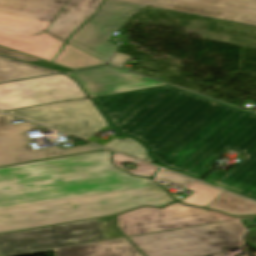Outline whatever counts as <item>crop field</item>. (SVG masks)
<instances>
[{
    "mask_svg": "<svg viewBox=\"0 0 256 256\" xmlns=\"http://www.w3.org/2000/svg\"><path fill=\"white\" fill-rule=\"evenodd\" d=\"M120 134L161 166L200 180L229 149L242 160L204 182L256 200V115L169 85L93 97Z\"/></svg>",
    "mask_w": 256,
    "mask_h": 256,
    "instance_id": "8a807250",
    "label": "crop field"
},
{
    "mask_svg": "<svg viewBox=\"0 0 256 256\" xmlns=\"http://www.w3.org/2000/svg\"><path fill=\"white\" fill-rule=\"evenodd\" d=\"M172 201L151 179L114 167L109 151L0 168V233Z\"/></svg>",
    "mask_w": 256,
    "mask_h": 256,
    "instance_id": "ac0d7876",
    "label": "crop field"
},
{
    "mask_svg": "<svg viewBox=\"0 0 256 256\" xmlns=\"http://www.w3.org/2000/svg\"><path fill=\"white\" fill-rule=\"evenodd\" d=\"M66 1L0 0V46L52 61L64 42L43 31Z\"/></svg>",
    "mask_w": 256,
    "mask_h": 256,
    "instance_id": "34b2d1b8",
    "label": "crop field"
},
{
    "mask_svg": "<svg viewBox=\"0 0 256 256\" xmlns=\"http://www.w3.org/2000/svg\"><path fill=\"white\" fill-rule=\"evenodd\" d=\"M236 221L129 238L146 256H225L239 246Z\"/></svg>",
    "mask_w": 256,
    "mask_h": 256,
    "instance_id": "412701ff",
    "label": "crop field"
},
{
    "mask_svg": "<svg viewBox=\"0 0 256 256\" xmlns=\"http://www.w3.org/2000/svg\"><path fill=\"white\" fill-rule=\"evenodd\" d=\"M115 217L0 234L2 256L122 237Z\"/></svg>",
    "mask_w": 256,
    "mask_h": 256,
    "instance_id": "f4fd0767",
    "label": "crop field"
},
{
    "mask_svg": "<svg viewBox=\"0 0 256 256\" xmlns=\"http://www.w3.org/2000/svg\"><path fill=\"white\" fill-rule=\"evenodd\" d=\"M8 113L70 133L85 140L108 125L90 99L8 111Z\"/></svg>",
    "mask_w": 256,
    "mask_h": 256,
    "instance_id": "dd49c442",
    "label": "crop field"
},
{
    "mask_svg": "<svg viewBox=\"0 0 256 256\" xmlns=\"http://www.w3.org/2000/svg\"><path fill=\"white\" fill-rule=\"evenodd\" d=\"M144 5L106 0L94 18L83 25L68 43L108 62L117 46L108 43L114 31Z\"/></svg>",
    "mask_w": 256,
    "mask_h": 256,
    "instance_id": "e52e79f7",
    "label": "crop field"
},
{
    "mask_svg": "<svg viewBox=\"0 0 256 256\" xmlns=\"http://www.w3.org/2000/svg\"><path fill=\"white\" fill-rule=\"evenodd\" d=\"M84 96L86 95L75 81L63 74L53 75L0 84V110H12Z\"/></svg>",
    "mask_w": 256,
    "mask_h": 256,
    "instance_id": "d8731c3e",
    "label": "crop field"
},
{
    "mask_svg": "<svg viewBox=\"0 0 256 256\" xmlns=\"http://www.w3.org/2000/svg\"><path fill=\"white\" fill-rule=\"evenodd\" d=\"M117 218L118 227L126 236L219 221L204 209L179 203L164 209L143 207Z\"/></svg>",
    "mask_w": 256,
    "mask_h": 256,
    "instance_id": "5a996713",
    "label": "crop field"
},
{
    "mask_svg": "<svg viewBox=\"0 0 256 256\" xmlns=\"http://www.w3.org/2000/svg\"><path fill=\"white\" fill-rule=\"evenodd\" d=\"M13 119L0 113V166L102 149L88 144L64 149L55 146L33 150L26 131L43 127L28 122L10 124Z\"/></svg>",
    "mask_w": 256,
    "mask_h": 256,
    "instance_id": "3316defc",
    "label": "crop field"
},
{
    "mask_svg": "<svg viewBox=\"0 0 256 256\" xmlns=\"http://www.w3.org/2000/svg\"><path fill=\"white\" fill-rule=\"evenodd\" d=\"M256 25V0H122Z\"/></svg>",
    "mask_w": 256,
    "mask_h": 256,
    "instance_id": "28ad6ade",
    "label": "crop field"
},
{
    "mask_svg": "<svg viewBox=\"0 0 256 256\" xmlns=\"http://www.w3.org/2000/svg\"><path fill=\"white\" fill-rule=\"evenodd\" d=\"M76 79L90 96L164 85L155 80L113 66L67 74Z\"/></svg>",
    "mask_w": 256,
    "mask_h": 256,
    "instance_id": "d1516ede",
    "label": "crop field"
},
{
    "mask_svg": "<svg viewBox=\"0 0 256 256\" xmlns=\"http://www.w3.org/2000/svg\"><path fill=\"white\" fill-rule=\"evenodd\" d=\"M103 0H68L62 9L66 13L59 12L45 32L67 41L69 36L99 8Z\"/></svg>",
    "mask_w": 256,
    "mask_h": 256,
    "instance_id": "22f410ed",
    "label": "crop field"
},
{
    "mask_svg": "<svg viewBox=\"0 0 256 256\" xmlns=\"http://www.w3.org/2000/svg\"><path fill=\"white\" fill-rule=\"evenodd\" d=\"M58 256H142L126 238L56 249Z\"/></svg>",
    "mask_w": 256,
    "mask_h": 256,
    "instance_id": "cbeb9de0",
    "label": "crop field"
},
{
    "mask_svg": "<svg viewBox=\"0 0 256 256\" xmlns=\"http://www.w3.org/2000/svg\"><path fill=\"white\" fill-rule=\"evenodd\" d=\"M52 73H58V71L0 56V82Z\"/></svg>",
    "mask_w": 256,
    "mask_h": 256,
    "instance_id": "5142ce71",
    "label": "crop field"
},
{
    "mask_svg": "<svg viewBox=\"0 0 256 256\" xmlns=\"http://www.w3.org/2000/svg\"><path fill=\"white\" fill-rule=\"evenodd\" d=\"M207 208L219 210L231 216L256 214V203L226 192L209 204Z\"/></svg>",
    "mask_w": 256,
    "mask_h": 256,
    "instance_id": "d9b57169",
    "label": "crop field"
},
{
    "mask_svg": "<svg viewBox=\"0 0 256 256\" xmlns=\"http://www.w3.org/2000/svg\"><path fill=\"white\" fill-rule=\"evenodd\" d=\"M54 62L74 69L106 63L68 43L63 47L61 53L56 57Z\"/></svg>",
    "mask_w": 256,
    "mask_h": 256,
    "instance_id": "733c2abd",
    "label": "crop field"
},
{
    "mask_svg": "<svg viewBox=\"0 0 256 256\" xmlns=\"http://www.w3.org/2000/svg\"><path fill=\"white\" fill-rule=\"evenodd\" d=\"M185 189L193 190L195 192L180 202L203 208H206L209 203L223 193L221 190L215 189L200 182H193Z\"/></svg>",
    "mask_w": 256,
    "mask_h": 256,
    "instance_id": "4a817a6b",
    "label": "crop field"
},
{
    "mask_svg": "<svg viewBox=\"0 0 256 256\" xmlns=\"http://www.w3.org/2000/svg\"><path fill=\"white\" fill-rule=\"evenodd\" d=\"M104 147L119 151L121 153L146 160L150 163L153 161L146 155L145 148L138 142L125 138L123 140L114 138L111 142Z\"/></svg>",
    "mask_w": 256,
    "mask_h": 256,
    "instance_id": "bc2a9ffb",
    "label": "crop field"
},
{
    "mask_svg": "<svg viewBox=\"0 0 256 256\" xmlns=\"http://www.w3.org/2000/svg\"><path fill=\"white\" fill-rule=\"evenodd\" d=\"M137 160L131 159L129 157L123 156L121 154L115 153L113 152V160L112 162L117 165L119 168H122L124 170H126L121 164L124 162H131L134 163ZM135 165L139 166L138 168L132 170L130 173L132 175H139V176H147V177H152L155 172L158 170V168L153 167L151 165H148L146 163H143L141 161H139L138 163H136Z\"/></svg>",
    "mask_w": 256,
    "mask_h": 256,
    "instance_id": "214f88e0",
    "label": "crop field"
},
{
    "mask_svg": "<svg viewBox=\"0 0 256 256\" xmlns=\"http://www.w3.org/2000/svg\"><path fill=\"white\" fill-rule=\"evenodd\" d=\"M157 179H163L166 180L169 183L178 185V186H185L187 183H189L190 181H192L191 179H188L186 177L168 172V171H161L157 176Z\"/></svg>",
    "mask_w": 256,
    "mask_h": 256,
    "instance_id": "92a150f3",
    "label": "crop field"
},
{
    "mask_svg": "<svg viewBox=\"0 0 256 256\" xmlns=\"http://www.w3.org/2000/svg\"><path fill=\"white\" fill-rule=\"evenodd\" d=\"M0 54L9 56V57H13V58H17V59H20L25 62L38 61L37 59L31 58L26 55H23V54H20V53H17V52H14V51H11V50H8L5 48H1V47H0Z\"/></svg>",
    "mask_w": 256,
    "mask_h": 256,
    "instance_id": "dafd665d",
    "label": "crop field"
},
{
    "mask_svg": "<svg viewBox=\"0 0 256 256\" xmlns=\"http://www.w3.org/2000/svg\"><path fill=\"white\" fill-rule=\"evenodd\" d=\"M130 58V56H127L125 54L116 52L115 55L112 57V59L109 61V64H113L119 67H122L124 62Z\"/></svg>",
    "mask_w": 256,
    "mask_h": 256,
    "instance_id": "00972430",
    "label": "crop field"
},
{
    "mask_svg": "<svg viewBox=\"0 0 256 256\" xmlns=\"http://www.w3.org/2000/svg\"><path fill=\"white\" fill-rule=\"evenodd\" d=\"M208 212H210L212 215H214L220 221L235 219V218H241V217H231V216H228V215H225V214H222V213H219V212H214V211H208Z\"/></svg>",
    "mask_w": 256,
    "mask_h": 256,
    "instance_id": "a9b5d70f",
    "label": "crop field"
},
{
    "mask_svg": "<svg viewBox=\"0 0 256 256\" xmlns=\"http://www.w3.org/2000/svg\"><path fill=\"white\" fill-rule=\"evenodd\" d=\"M49 68L56 69V70H59V71H62V72L71 71L70 69H67V68H64V67H61V66H58V65H54V64L49 66Z\"/></svg>",
    "mask_w": 256,
    "mask_h": 256,
    "instance_id": "4177f3b9",
    "label": "crop field"
},
{
    "mask_svg": "<svg viewBox=\"0 0 256 256\" xmlns=\"http://www.w3.org/2000/svg\"><path fill=\"white\" fill-rule=\"evenodd\" d=\"M30 63L40 65V66H44V67H47L48 65H50V63L45 62V61L30 62Z\"/></svg>",
    "mask_w": 256,
    "mask_h": 256,
    "instance_id": "730fd06b",
    "label": "crop field"
},
{
    "mask_svg": "<svg viewBox=\"0 0 256 256\" xmlns=\"http://www.w3.org/2000/svg\"><path fill=\"white\" fill-rule=\"evenodd\" d=\"M50 251H53V250H50ZM44 252H48V251H44ZM39 253V252H38ZM33 254V253H32ZM27 255V254H26Z\"/></svg>",
    "mask_w": 256,
    "mask_h": 256,
    "instance_id": "eef30255",
    "label": "crop field"
},
{
    "mask_svg": "<svg viewBox=\"0 0 256 256\" xmlns=\"http://www.w3.org/2000/svg\"><path fill=\"white\" fill-rule=\"evenodd\" d=\"M102 66V65H101ZM96 67H98V66H96ZM90 68H92V67H90ZM84 69H86V68H84ZM78 70H80V69H78Z\"/></svg>",
    "mask_w": 256,
    "mask_h": 256,
    "instance_id": "ae1a2a85",
    "label": "crop field"
}]
</instances>
